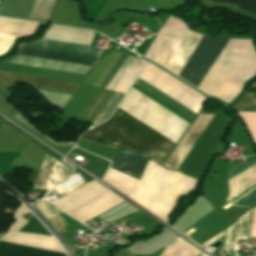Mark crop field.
Segmentation results:
<instances>
[{
    "mask_svg": "<svg viewBox=\"0 0 256 256\" xmlns=\"http://www.w3.org/2000/svg\"><path fill=\"white\" fill-rule=\"evenodd\" d=\"M0 123H1V121H0Z\"/></svg>",
    "mask_w": 256,
    "mask_h": 256,
    "instance_id": "obj_22",
    "label": "crop field"
},
{
    "mask_svg": "<svg viewBox=\"0 0 256 256\" xmlns=\"http://www.w3.org/2000/svg\"><path fill=\"white\" fill-rule=\"evenodd\" d=\"M135 93L129 91L118 108L177 143L189 124ZM118 108L110 120L83 133L81 138L117 149L137 150L160 165L176 143Z\"/></svg>",
    "mask_w": 256,
    "mask_h": 256,
    "instance_id": "obj_1",
    "label": "crop field"
},
{
    "mask_svg": "<svg viewBox=\"0 0 256 256\" xmlns=\"http://www.w3.org/2000/svg\"><path fill=\"white\" fill-rule=\"evenodd\" d=\"M119 53L117 52H110L108 55H106L104 58H102L100 61H98L95 66L92 68V70L89 72V74L86 76V78L83 80V83L98 86V84L101 82L103 77L106 75L110 67L113 65L115 60L118 58ZM127 58V55L121 54L119 58L116 60L114 65L111 67L107 75L104 77L102 82L99 84V88H105L106 84L109 82V80L112 78V76L115 74V72L118 70V68L121 66V64L124 62V60ZM123 97V94L119 93H113L110 99L107 101L99 115L94 120L95 126L103 122L105 119H107L120 99Z\"/></svg>",
    "mask_w": 256,
    "mask_h": 256,
    "instance_id": "obj_6",
    "label": "crop field"
},
{
    "mask_svg": "<svg viewBox=\"0 0 256 256\" xmlns=\"http://www.w3.org/2000/svg\"><path fill=\"white\" fill-rule=\"evenodd\" d=\"M198 253L192 247L177 240L173 246L166 247L160 256H197Z\"/></svg>",
    "mask_w": 256,
    "mask_h": 256,
    "instance_id": "obj_12",
    "label": "crop field"
},
{
    "mask_svg": "<svg viewBox=\"0 0 256 256\" xmlns=\"http://www.w3.org/2000/svg\"><path fill=\"white\" fill-rule=\"evenodd\" d=\"M14 212V211H13ZM28 213V210L20 203V206H18V209L15 210L13 213V219L15 222H13L9 228V230L18 231L27 221L22 216L24 214Z\"/></svg>",
    "mask_w": 256,
    "mask_h": 256,
    "instance_id": "obj_14",
    "label": "crop field"
},
{
    "mask_svg": "<svg viewBox=\"0 0 256 256\" xmlns=\"http://www.w3.org/2000/svg\"><path fill=\"white\" fill-rule=\"evenodd\" d=\"M208 2H225L256 14V0H209Z\"/></svg>",
    "mask_w": 256,
    "mask_h": 256,
    "instance_id": "obj_13",
    "label": "crop field"
},
{
    "mask_svg": "<svg viewBox=\"0 0 256 256\" xmlns=\"http://www.w3.org/2000/svg\"><path fill=\"white\" fill-rule=\"evenodd\" d=\"M256 105L254 93H245V95L232 107L238 110H244Z\"/></svg>",
    "mask_w": 256,
    "mask_h": 256,
    "instance_id": "obj_16",
    "label": "crop field"
},
{
    "mask_svg": "<svg viewBox=\"0 0 256 256\" xmlns=\"http://www.w3.org/2000/svg\"><path fill=\"white\" fill-rule=\"evenodd\" d=\"M37 24L0 18V36L16 39L20 36L30 35L34 33ZM12 43L13 40L0 38V55L5 54Z\"/></svg>",
    "mask_w": 256,
    "mask_h": 256,
    "instance_id": "obj_7",
    "label": "crop field"
},
{
    "mask_svg": "<svg viewBox=\"0 0 256 256\" xmlns=\"http://www.w3.org/2000/svg\"><path fill=\"white\" fill-rule=\"evenodd\" d=\"M247 111L256 112V108H253V109H250V110H247Z\"/></svg>",
    "mask_w": 256,
    "mask_h": 256,
    "instance_id": "obj_18",
    "label": "crop field"
},
{
    "mask_svg": "<svg viewBox=\"0 0 256 256\" xmlns=\"http://www.w3.org/2000/svg\"><path fill=\"white\" fill-rule=\"evenodd\" d=\"M146 161V159L134 151L119 150L112 167L138 179Z\"/></svg>",
    "mask_w": 256,
    "mask_h": 256,
    "instance_id": "obj_8",
    "label": "crop field"
},
{
    "mask_svg": "<svg viewBox=\"0 0 256 256\" xmlns=\"http://www.w3.org/2000/svg\"><path fill=\"white\" fill-rule=\"evenodd\" d=\"M21 45L98 57V54L92 51L90 46L87 45L65 43L44 39H38L31 42L30 44ZM24 46H21L18 54L89 65H93V63L97 60V58L95 57L30 48ZM17 81L25 82L34 87L35 89L67 94H73V92L78 87V85L76 84L0 73V84L13 85Z\"/></svg>",
    "mask_w": 256,
    "mask_h": 256,
    "instance_id": "obj_3",
    "label": "crop field"
},
{
    "mask_svg": "<svg viewBox=\"0 0 256 256\" xmlns=\"http://www.w3.org/2000/svg\"><path fill=\"white\" fill-rule=\"evenodd\" d=\"M225 40L226 38H211L203 35L176 75L196 87Z\"/></svg>",
    "mask_w": 256,
    "mask_h": 256,
    "instance_id": "obj_5",
    "label": "crop field"
},
{
    "mask_svg": "<svg viewBox=\"0 0 256 256\" xmlns=\"http://www.w3.org/2000/svg\"><path fill=\"white\" fill-rule=\"evenodd\" d=\"M122 201L93 180L52 204L83 223Z\"/></svg>",
    "mask_w": 256,
    "mask_h": 256,
    "instance_id": "obj_4",
    "label": "crop field"
},
{
    "mask_svg": "<svg viewBox=\"0 0 256 256\" xmlns=\"http://www.w3.org/2000/svg\"><path fill=\"white\" fill-rule=\"evenodd\" d=\"M255 145V148H256V144H254Z\"/></svg>",
    "mask_w": 256,
    "mask_h": 256,
    "instance_id": "obj_21",
    "label": "crop field"
},
{
    "mask_svg": "<svg viewBox=\"0 0 256 256\" xmlns=\"http://www.w3.org/2000/svg\"><path fill=\"white\" fill-rule=\"evenodd\" d=\"M251 87H254V88H256V83L252 84V85H251Z\"/></svg>",
    "mask_w": 256,
    "mask_h": 256,
    "instance_id": "obj_20",
    "label": "crop field"
},
{
    "mask_svg": "<svg viewBox=\"0 0 256 256\" xmlns=\"http://www.w3.org/2000/svg\"><path fill=\"white\" fill-rule=\"evenodd\" d=\"M245 122L254 142H256V113H238Z\"/></svg>",
    "mask_w": 256,
    "mask_h": 256,
    "instance_id": "obj_15",
    "label": "crop field"
},
{
    "mask_svg": "<svg viewBox=\"0 0 256 256\" xmlns=\"http://www.w3.org/2000/svg\"><path fill=\"white\" fill-rule=\"evenodd\" d=\"M254 162H247V163H243V164H232V165H229L228 178H230L231 176L235 175L236 173H238L239 171L243 170L244 168H246L247 166H249L250 164H252ZM254 186H256V185H254ZM253 187H251L250 189H252ZM250 189H248L247 191H249ZM247 191H245V192H247ZM235 199L230 201V203L233 202ZM224 204H227V202H225ZM233 205L241 206V207H245V208H248V207H250L252 205H256V188L253 191H251L250 193H248L247 195H245V196L241 197L240 199H238Z\"/></svg>",
    "mask_w": 256,
    "mask_h": 256,
    "instance_id": "obj_10",
    "label": "crop field"
},
{
    "mask_svg": "<svg viewBox=\"0 0 256 256\" xmlns=\"http://www.w3.org/2000/svg\"><path fill=\"white\" fill-rule=\"evenodd\" d=\"M53 0H35L27 19L46 22Z\"/></svg>",
    "mask_w": 256,
    "mask_h": 256,
    "instance_id": "obj_11",
    "label": "crop field"
},
{
    "mask_svg": "<svg viewBox=\"0 0 256 256\" xmlns=\"http://www.w3.org/2000/svg\"><path fill=\"white\" fill-rule=\"evenodd\" d=\"M0 252L17 256H66V254L0 242Z\"/></svg>",
    "mask_w": 256,
    "mask_h": 256,
    "instance_id": "obj_9",
    "label": "crop field"
},
{
    "mask_svg": "<svg viewBox=\"0 0 256 256\" xmlns=\"http://www.w3.org/2000/svg\"><path fill=\"white\" fill-rule=\"evenodd\" d=\"M105 181L166 220L179 194H187L195 179L164 170L148 161L140 181L109 168Z\"/></svg>",
    "mask_w": 256,
    "mask_h": 256,
    "instance_id": "obj_2",
    "label": "crop field"
},
{
    "mask_svg": "<svg viewBox=\"0 0 256 256\" xmlns=\"http://www.w3.org/2000/svg\"><path fill=\"white\" fill-rule=\"evenodd\" d=\"M0 256H12V255H7V254L0 253Z\"/></svg>",
    "mask_w": 256,
    "mask_h": 256,
    "instance_id": "obj_19",
    "label": "crop field"
},
{
    "mask_svg": "<svg viewBox=\"0 0 256 256\" xmlns=\"http://www.w3.org/2000/svg\"><path fill=\"white\" fill-rule=\"evenodd\" d=\"M250 237H256V207L253 210L252 226Z\"/></svg>",
    "mask_w": 256,
    "mask_h": 256,
    "instance_id": "obj_17",
    "label": "crop field"
}]
</instances>
